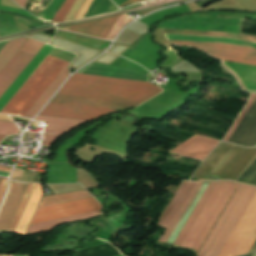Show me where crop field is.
Here are the masks:
<instances>
[{
	"label": "crop field",
	"mask_w": 256,
	"mask_h": 256,
	"mask_svg": "<svg viewBox=\"0 0 256 256\" xmlns=\"http://www.w3.org/2000/svg\"><path fill=\"white\" fill-rule=\"evenodd\" d=\"M41 195V185L36 184L14 232L24 234Z\"/></svg>",
	"instance_id": "crop-field-17"
},
{
	"label": "crop field",
	"mask_w": 256,
	"mask_h": 256,
	"mask_svg": "<svg viewBox=\"0 0 256 256\" xmlns=\"http://www.w3.org/2000/svg\"><path fill=\"white\" fill-rule=\"evenodd\" d=\"M59 2H60V0H51L48 8L43 10L42 13L38 16V18L47 20L49 18V16L51 15L53 9L56 7V5Z\"/></svg>",
	"instance_id": "crop-field-32"
},
{
	"label": "crop field",
	"mask_w": 256,
	"mask_h": 256,
	"mask_svg": "<svg viewBox=\"0 0 256 256\" xmlns=\"http://www.w3.org/2000/svg\"><path fill=\"white\" fill-rule=\"evenodd\" d=\"M84 0H76L73 4V6L71 7L70 11L68 12L67 16L65 17V19L63 20V22L65 21H71L74 20L80 6L82 5Z\"/></svg>",
	"instance_id": "crop-field-30"
},
{
	"label": "crop field",
	"mask_w": 256,
	"mask_h": 256,
	"mask_svg": "<svg viewBox=\"0 0 256 256\" xmlns=\"http://www.w3.org/2000/svg\"><path fill=\"white\" fill-rule=\"evenodd\" d=\"M64 2V0H62L59 5L56 7V9L54 10L53 14L51 15V17L48 19L49 21H51L52 17L54 16V14L57 12V10L59 9V7L61 6V4Z\"/></svg>",
	"instance_id": "crop-field-39"
},
{
	"label": "crop field",
	"mask_w": 256,
	"mask_h": 256,
	"mask_svg": "<svg viewBox=\"0 0 256 256\" xmlns=\"http://www.w3.org/2000/svg\"><path fill=\"white\" fill-rule=\"evenodd\" d=\"M53 47L45 44L18 78L12 83L7 91L0 98V110L7 103V101L14 95V93L20 88V86L26 81V79L32 74V72L38 67V65L45 59V57L51 52ZM3 109V108H2Z\"/></svg>",
	"instance_id": "crop-field-13"
},
{
	"label": "crop field",
	"mask_w": 256,
	"mask_h": 256,
	"mask_svg": "<svg viewBox=\"0 0 256 256\" xmlns=\"http://www.w3.org/2000/svg\"><path fill=\"white\" fill-rule=\"evenodd\" d=\"M111 3L110 0H95L84 18L106 13Z\"/></svg>",
	"instance_id": "crop-field-26"
},
{
	"label": "crop field",
	"mask_w": 256,
	"mask_h": 256,
	"mask_svg": "<svg viewBox=\"0 0 256 256\" xmlns=\"http://www.w3.org/2000/svg\"><path fill=\"white\" fill-rule=\"evenodd\" d=\"M6 184H7V178H2L1 182H0V201H1V198L4 194V190H5V187H6Z\"/></svg>",
	"instance_id": "crop-field-36"
},
{
	"label": "crop field",
	"mask_w": 256,
	"mask_h": 256,
	"mask_svg": "<svg viewBox=\"0 0 256 256\" xmlns=\"http://www.w3.org/2000/svg\"><path fill=\"white\" fill-rule=\"evenodd\" d=\"M27 184L10 181L9 191L0 210V232H5Z\"/></svg>",
	"instance_id": "crop-field-12"
},
{
	"label": "crop field",
	"mask_w": 256,
	"mask_h": 256,
	"mask_svg": "<svg viewBox=\"0 0 256 256\" xmlns=\"http://www.w3.org/2000/svg\"><path fill=\"white\" fill-rule=\"evenodd\" d=\"M200 184L201 182H183L180 189L170 202L169 206L167 207L165 213L163 214L161 220L158 223V226L166 228L158 241L166 242L167 238L177 224L178 220L180 219L181 215L183 214L184 210L186 209L187 205L194 196Z\"/></svg>",
	"instance_id": "crop-field-8"
},
{
	"label": "crop field",
	"mask_w": 256,
	"mask_h": 256,
	"mask_svg": "<svg viewBox=\"0 0 256 256\" xmlns=\"http://www.w3.org/2000/svg\"><path fill=\"white\" fill-rule=\"evenodd\" d=\"M241 19L234 18H215V17H197V16H185L182 18L173 19V21H187V22H199V23H213V24H231L239 25Z\"/></svg>",
	"instance_id": "crop-field-24"
},
{
	"label": "crop field",
	"mask_w": 256,
	"mask_h": 256,
	"mask_svg": "<svg viewBox=\"0 0 256 256\" xmlns=\"http://www.w3.org/2000/svg\"><path fill=\"white\" fill-rule=\"evenodd\" d=\"M118 17L119 15L74 25L71 27L70 31L106 39L107 35L109 34Z\"/></svg>",
	"instance_id": "crop-field-14"
},
{
	"label": "crop field",
	"mask_w": 256,
	"mask_h": 256,
	"mask_svg": "<svg viewBox=\"0 0 256 256\" xmlns=\"http://www.w3.org/2000/svg\"><path fill=\"white\" fill-rule=\"evenodd\" d=\"M164 36H165V38H173V39L228 42V43H235V44L256 47V43L228 39V38L171 35V34H164ZM173 39H167V40H169L175 44H179V45L193 46L201 51H204V52H206L212 56H215L217 58H220V59L256 65V48L255 47L241 46V45L228 44V43L173 40Z\"/></svg>",
	"instance_id": "crop-field-6"
},
{
	"label": "crop field",
	"mask_w": 256,
	"mask_h": 256,
	"mask_svg": "<svg viewBox=\"0 0 256 256\" xmlns=\"http://www.w3.org/2000/svg\"><path fill=\"white\" fill-rule=\"evenodd\" d=\"M69 63L48 55L0 112L24 117Z\"/></svg>",
	"instance_id": "crop-field-3"
},
{
	"label": "crop field",
	"mask_w": 256,
	"mask_h": 256,
	"mask_svg": "<svg viewBox=\"0 0 256 256\" xmlns=\"http://www.w3.org/2000/svg\"><path fill=\"white\" fill-rule=\"evenodd\" d=\"M3 138H5V137H4V136H0V141H1Z\"/></svg>",
	"instance_id": "crop-field-45"
},
{
	"label": "crop field",
	"mask_w": 256,
	"mask_h": 256,
	"mask_svg": "<svg viewBox=\"0 0 256 256\" xmlns=\"http://www.w3.org/2000/svg\"><path fill=\"white\" fill-rule=\"evenodd\" d=\"M127 15L122 14L120 15L119 19L117 20L116 24L114 25L113 29L111 30L110 34L108 35L107 39L112 40L120 29L129 21H131Z\"/></svg>",
	"instance_id": "crop-field-27"
},
{
	"label": "crop field",
	"mask_w": 256,
	"mask_h": 256,
	"mask_svg": "<svg viewBox=\"0 0 256 256\" xmlns=\"http://www.w3.org/2000/svg\"><path fill=\"white\" fill-rule=\"evenodd\" d=\"M224 64L237 75L245 90L256 92V67L227 62Z\"/></svg>",
	"instance_id": "crop-field-15"
},
{
	"label": "crop field",
	"mask_w": 256,
	"mask_h": 256,
	"mask_svg": "<svg viewBox=\"0 0 256 256\" xmlns=\"http://www.w3.org/2000/svg\"><path fill=\"white\" fill-rule=\"evenodd\" d=\"M12 119H15V120H21V121H26V122H29L30 120H27V119H23V118H18V117H14V116H11Z\"/></svg>",
	"instance_id": "crop-field-41"
},
{
	"label": "crop field",
	"mask_w": 256,
	"mask_h": 256,
	"mask_svg": "<svg viewBox=\"0 0 256 256\" xmlns=\"http://www.w3.org/2000/svg\"><path fill=\"white\" fill-rule=\"evenodd\" d=\"M69 76L68 67L62 72V74L56 79V81L50 86L45 94L39 99V101L33 106V108L27 113L25 117L33 118L35 114L42 108L51 94L60 86L63 80ZM53 95V94H52Z\"/></svg>",
	"instance_id": "crop-field-22"
},
{
	"label": "crop field",
	"mask_w": 256,
	"mask_h": 256,
	"mask_svg": "<svg viewBox=\"0 0 256 256\" xmlns=\"http://www.w3.org/2000/svg\"><path fill=\"white\" fill-rule=\"evenodd\" d=\"M13 172V171H12ZM23 170H20V169H17V168H15L14 169V172H13V174L11 175V179L12 180H16V181H19L20 180V178H21V176H22V174H23Z\"/></svg>",
	"instance_id": "crop-field-34"
},
{
	"label": "crop field",
	"mask_w": 256,
	"mask_h": 256,
	"mask_svg": "<svg viewBox=\"0 0 256 256\" xmlns=\"http://www.w3.org/2000/svg\"><path fill=\"white\" fill-rule=\"evenodd\" d=\"M114 3L118 6L120 5L122 2H124L125 0H113Z\"/></svg>",
	"instance_id": "crop-field-43"
},
{
	"label": "crop field",
	"mask_w": 256,
	"mask_h": 256,
	"mask_svg": "<svg viewBox=\"0 0 256 256\" xmlns=\"http://www.w3.org/2000/svg\"><path fill=\"white\" fill-rule=\"evenodd\" d=\"M0 175H3V176H8V173H5V172H0Z\"/></svg>",
	"instance_id": "crop-field-44"
},
{
	"label": "crop field",
	"mask_w": 256,
	"mask_h": 256,
	"mask_svg": "<svg viewBox=\"0 0 256 256\" xmlns=\"http://www.w3.org/2000/svg\"><path fill=\"white\" fill-rule=\"evenodd\" d=\"M18 131L19 129L14 123L0 121V135H15Z\"/></svg>",
	"instance_id": "crop-field-28"
},
{
	"label": "crop field",
	"mask_w": 256,
	"mask_h": 256,
	"mask_svg": "<svg viewBox=\"0 0 256 256\" xmlns=\"http://www.w3.org/2000/svg\"><path fill=\"white\" fill-rule=\"evenodd\" d=\"M57 137L59 136L47 134L43 145L49 146Z\"/></svg>",
	"instance_id": "crop-field-35"
},
{
	"label": "crop field",
	"mask_w": 256,
	"mask_h": 256,
	"mask_svg": "<svg viewBox=\"0 0 256 256\" xmlns=\"http://www.w3.org/2000/svg\"><path fill=\"white\" fill-rule=\"evenodd\" d=\"M15 3H17L21 7H25L26 0H13Z\"/></svg>",
	"instance_id": "crop-field-37"
},
{
	"label": "crop field",
	"mask_w": 256,
	"mask_h": 256,
	"mask_svg": "<svg viewBox=\"0 0 256 256\" xmlns=\"http://www.w3.org/2000/svg\"><path fill=\"white\" fill-rule=\"evenodd\" d=\"M164 33L228 37V38H234V39L256 42L255 37H248V36L235 35V34H229V33L187 31V30H171V29H164Z\"/></svg>",
	"instance_id": "crop-field-23"
},
{
	"label": "crop field",
	"mask_w": 256,
	"mask_h": 256,
	"mask_svg": "<svg viewBox=\"0 0 256 256\" xmlns=\"http://www.w3.org/2000/svg\"><path fill=\"white\" fill-rule=\"evenodd\" d=\"M26 39H27L26 37H22V38L13 39L10 41L8 40L9 42L8 41L0 42V51L8 42V44L0 52V70L14 55V53L20 48V46L25 42Z\"/></svg>",
	"instance_id": "crop-field-21"
},
{
	"label": "crop field",
	"mask_w": 256,
	"mask_h": 256,
	"mask_svg": "<svg viewBox=\"0 0 256 256\" xmlns=\"http://www.w3.org/2000/svg\"><path fill=\"white\" fill-rule=\"evenodd\" d=\"M93 2V0H85L83 5L81 6L76 18V19H80V18H83L86 10L88 9V7L91 5V3ZM88 11V10H87Z\"/></svg>",
	"instance_id": "crop-field-33"
},
{
	"label": "crop field",
	"mask_w": 256,
	"mask_h": 256,
	"mask_svg": "<svg viewBox=\"0 0 256 256\" xmlns=\"http://www.w3.org/2000/svg\"><path fill=\"white\" fill-rule=\"evenodd\" d=\"M35 120L47 122L45 131L65 133L87 121L37 116Z\"/></svg>",
	"instance_id": "crop-field-18"
},
{
	"label": "crop field",
	"mask_w": 256,
	"mask_h": 256,
	"mask_svg": "<svg viewBox=\"0 0 256 256\" xmlns=\"http://www.w3.org/2000/svg\"><path fill=\"white\" fill-rule=\"evenodd\" d=\"M236 186L230 181L210 182L174 245L197 251Z\"/></svg>",
	"instance_id": "crop-field-2"
},
{
	"label": "crop field",
	"mask_w": 256,
	"mask_h": 256,
	"mask_svg": "<svg viewBox=\"0 0 256 256\" xmlns=\"http://www.w3.org/2000/svg\"><path fill=\"white\" fill-rule=\"evenodd\" d=\"M208 184H209V182H203L201 184L200 188L196 192L195 196L193 197V199L190 202L189 206L187 207L186 211L182 215L181 219L179 220V222L176 225L175 229L173 230L172 234L168 238L167 243L173 244L174 240L176 239L177 235L179 234L180 230L182 229V227L185 224L186 220L188 219L189 215L193 211L194 207L196 206L197 202L199 201L200 197L202 196V194L205 191Z\"/></svg>",
	"instance_id": "crop-field-19"
},
{
	"label": "crop field",
	"mask_w": 256,
	"mask_h": 256,
	"mask_svg": "<svg viewBox=\"0 0 256 256\" xmlns=\"http://www.w3.org/2000/svg\"><path fill=\"white\" fill-rule=\"evenodd\" d=\"M136 1H139V0H127L125 3H123V4L120 5V6H124V5H127V4H129V3L136 2ZM120 6H118V7H120Z\"/></svg>",
	"instance_id": "crop-field-40"
},
{
	"label": "crop field",
	"mask_w": 256,
	"mask_h": 256,
	"mask_svg": "<svg viewBox=\"0 0 256 256\" xmlns=\"http://www.w3.org/2000/svg\"><path fill=\"white\" fill-rule=\"evenodd\" d=\"M0 120L12 122V120L9 118V116L4 115V114H0Z\"/></svg>",
	"instance_id": "crop-field-38"
},
{
	"label": "crop field",
	"mask_w": 256,
	"mask_h": 256,
	"mask_svg": "<svg viewBox=\"0 0 256 256\" xmlns=\"http://www.w3.org/2000/svg\"><path fill=\"white\" fill-rule=\"evenodd\" d=\"M148 82L149 74L102 64H88L77 73ZM73 75L39 115L91 120L141 104L162 90L150 83Z\"/></svg>",
	"instance_id": "crop-field-1"
},
{
	"label": "crop field",
	"mask_w": 256,
	"mask_h": 256,
	"mask_svg": "<svg viewBox=\"0 0 256 256\" xmlns=\"http://www.w3.org/2000/svg\"><path fill=\"white\" fill-rule=\"evenodd\" d=\"M73 2L74 0H65V2L60 7V9L58 10L57 14L55 15V17L51 22H57V23L62 22V20L64 19L65 15L67 14Z\"/></svg>",
	"instance_id": "crop-field-29"
},
{
	"label": "crop field",
	"mask_w": 256,
	"mask_h": 256,
	"mask_svg": "<svg viewBox=\"0 0 256 256\" xmlns=\"http://www.w3.org/2000/svg\"><path fill=\"white\" fill-rule=\"evenodd\" d=\"M218 142L216 140L194 136L171 152L204 160Z\"/></svg>",
	"instance_id": "crop-field-11"
},
{
	"label": "crop field",
	"mask_w": 256,
	"mask_h": 256,
	"mask_svg": "<svg viewBox=\"0 0 256 256\" xmlns=\"http://www.w3.org/2000/svg\"><path fill=\"white\" fill-rule=\"evenodd\" d=\"M98 214H101L100 210L89 212V213H84V214H79V215H74V216H70V217L60 218V219H56V220L41 222V223H37V224H32L29 226L26 235L50 230V229H53V228H55L59 225H62L64 223L72 222V221H76V220H80V219H85V218L92 217V216H95Z\"/></svg>",
	"instance_id": "crop-field-16"
},
{
	"label": "crop field",
	"mask_w": 256,
	"mask_h": 256,
	"mask_svg": "<svg viewBox=\"0 0 256 256\" xmlns=\"http://www.w3.org/2000/svg\"><path fill=\"white\" fill-rule=\"evenodd\" d=\"M35 184H28L6 232H13Z\"/></svg>",
	"instance_id": "crop-field-25"
},
{
	"label": "crop field",
	"mask_w": 256,
	"mask_h": 256,
	"mask_svg": "<svg viewBox=\"0 0 256 256\" xmlns=\"http://www.w3.org/2000/svg\"><path fill=\"white\" fill-rule=\"evenodd\" d=\"M13 256H16V255H13ZM26 256H28V255H26Z\"/></svg>",
	"instance_id": "crop-field-46"
},
{
	"label": "crop field",
	"mask_w": 256,
	"mask_h": 256,
	"mask_svg": "<svg viewBox=\"0 0 256 256\" xmlns=\"http://www.w3.org/2000/svg\"><path fill=\"white\" fill-rule=\"evenodd\" d=\"M91 195L86 191H78L74 193H69V194H61V195H49L45 196L42 198L41 203L38 208L44 207V206H49V205H54L58 203H63L67 201H72L76 199H81V198H86L90 197Z\"/></svg>",
	"instance_id": "crop-field-20"
},
{
	"label": "crop field",
	"mask_w": 256,
	"mask_h": 256,
	"mask_svg": "<svg viewBox=\"0 0 256 256\" xmlns=\"http://www.w3.org/2000/svg\"><path fill=\"white\" fill-rule=\"evenodd\" d=\"M256 238V194L235 226L218 256H237L248 252Z\"/></svg>",
	"instance_id": "crop-field-7"
},
{
	"label": "crop field",
	"mask_w": 256,
	"mask_h": 256,
	"mask_svg": "<svg viewBox=\"0 0 256 256\" xmlns=\"http://www.w3.org/2000/svg\"><path fill=\"white\" fill-rule=\"evenodd\" d=\"M255 97H256V95L251 94V97H250V100H249L248 104L246 105V107L244 108V110L242 111V113L240 114V116L238 117V119L236 120L234 125L232 126L231 130L229 131V133L225 136L223 141H227L229 139V137L231 136L232 132L234 131V129L236 128V126L240 122L241 118L243 117V115L245 114V112L247 111V109L249 108V106L251 105V103H252V101L254 100Z\"/></svg>",
	"instance_id": "crop-field-31"
},
{
	"label": "crop field",
	"mask_w": 256,
	"mask_h": 256,
	"mask_svg": "<svg viewBox=\"0 0 256 256\" xmlns=\"http://www.w3.org/2000/svg\"><path fill=\"white\" fill-rule=\"evenodd\" d=\"M256 157V148H243L221 142L193 176L235 181Z\"/></svg>",
	"instance_id": "crop-field-4"
},
{
	"label": "crop field",
	"mask_w": 256,
	"mask_h": 256,
	"mask_svg": "<svg viewBox=\"0 0 256 256\" xmlns=\"http://www.w3.org/2000/svg\"><path fill=\"white\" fill-rule=\"evenodd\" d=\"M44 43L28 38L0 71V97L22 72Z\"/></svg>",
	"instance_id": "crop-field-9"
},
{
	"label": "crop field",
	"mask_w": 256,
	"mask_h": 256,
	"mask_svg": "<svg viewBox=\"0 0 256 256\" xmlns=\"http://www.w3.org/2000/svg\"><path fill=\"white\" fill-rule=\"evenodd\" d=\"M10 168L9 167H3V166H0V171H6V172H9Z\"/></svg>",
	"instance_id": "crop-field-42"
},
{
	"label": "crop field",
	"mask_w": 256,
	"mask_h": 256,
	"mask_svg": "<svg viewBox=\"0 0 256 256\" xmlns=\"http://www.w3.org/2000/svg\"><path fill=\"white\" fill-rule=\"evenodd\" d=\"M2 177H0V180H1Z\"/></svg>",
	"instance_id": "crop-field-47"
},
{
	"label": "crop field",
	"mask_w": 256,
	"mask_h": 256,
	"mask_svg": "<svg viewBox=\"0 0 256 256\" xmlns=\"http://www.w3.org/2000/svg\"><path fill=\"white\" fill-rule=\"evenodd\" d=\"M98 209L100 205L93 197L44 207L37 210L31 224Z\"/></svg>",
	"instance_id": "crop-field-10"
},
{
	"label": "crop field",
	"mask_w": 256,
	"mask_h": 256,
	"mask_svg": "<svg viewBox=\"0 0 256 256\" xmlns=\"http://www.w3.org/2000/svg\"><path fill=\"white\" fill-rule=\"evenodd\" d=\"M255 192L256 187L239 184L238 188L200 249L198 253L199 256L218 255Z\"/></svg>",
	"instance_id": "crop-field-5"
}]
</instances>
